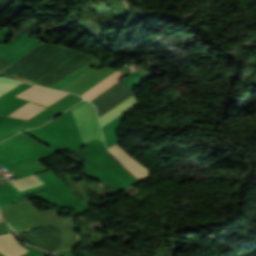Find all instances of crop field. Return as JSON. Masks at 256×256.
<instances>
[{"mask_svg":"<svg viewBox=\"0 0 256 256\" xmlns=\"http://www.w3.org/2000/svg\"><path fill=\"white\" fill-rule=\"evenodd\" d=\"M18 84H20V82L0 79V95H2L5 92L9 91L10 89H12L13 87L17 86Z\"/></svg>","mask_w":256,"mask_h":256,"instance_id":"6","label":"crop field"},{"mask_svg":"<svg viewBox=\"0 0 256 256\" xmlns=\"http://www.w3.org/2000/svg\"><path fill=\"white\" fill-rule=\"evenodd\" d=\"M72 112L84 143L95 138L103 143L94 106L86 101Z\"/></svg>","mask_w":256,"mask_h":256,"instance_id":"1","label":"crop field"},{"mask_svg":"<svg viewBox=\"0 0 256 256\" xmlns=\"http://www.w3.org/2000/svg\"><path fill=\"white\" fill-rule=\"evenodd\" d=\"M111 154L124 166H126L133 174H135L141 181L150 177L146 168L135 162L127 154H125L117 145L108 148Z\"/></svg>","mask_w":256,"mask_h":256,"instance_id":"3","label":"crop field"},{"mask_svg":"<svg viewBox=\"0 0 256 256\" xmlns=\"http://www.w3.org/2000/svg\"><path fill=\"white\" fill-rule=\"evenodd\" d=\"M0 218H1V215H0Z\"/></svg>","mask_w":256,"mask_h":256,"instance_id":"7","label":"crop field"},{"mask_svg":"<svg viewBox=\"0 0 256 256\" xmlns=\"http://www.w3.org/2000/svg\"><path fill=\"white\" fill-rule=\"evenodd\" d=\"M45 108L46 107L35 105V104H32L29 102L26 105H24L23 107H21L20 109L13 112L12 114H10V115L8 114V115L10 117H16V118H21V119L27 120Z\"/></svg>","mask_w":256,"mask_h":256,"instance_id":"5","label":"crop field"},{"mask_svg":"<svg viewBox=\"0 0 256 256\" xmlns=\"http://www.w3.org/2000/svg\"><path fill=\"white\" fill-rule=\"evenodd\" d=\"M137 104L135 95H132L127 100L116 106L114 109L106 113L104 116L99 118L101 126H104L108 122H110L112 119L123 113L125 110L129 109L133 105Z\"/></svg>","mask_w":256,"mask_h":256,"instance_id":"4","label":"crop field"},{"mask_svg":"<svg viewBox=\"0 0 256 256\" xmlns=\"http://www.w3.org/2000/svg\"><path fill=\"white\" fill-rule=\"evenodd\" d=\"M67 94L68 93L32 85L21 93L17 94L15 97L23 98L48 106Z\"/></svg>","mask_w":256,"mask_h":256,"instance_id":"2","label":"crop field"}]
</instances>
